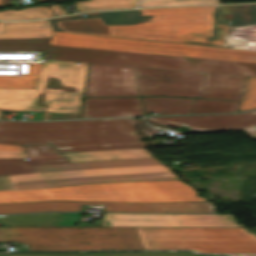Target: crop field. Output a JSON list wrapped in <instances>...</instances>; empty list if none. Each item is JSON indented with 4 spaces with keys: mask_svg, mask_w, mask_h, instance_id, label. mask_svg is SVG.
Returning <instances> with one entry per match:
<instances>
[{
    "mask_svg": "<svg viewBox=\"0 0 256 256\" xmlns=\"http://www.w3.org/2000/svg\"><path fill=\"white\" fill-rule=\"evenodd\" d=\"M45 59L206 72L200 98L235 100V102H228L194 99L191 114L236 112L245 88L246 76L256 77V63L102 49L49 45Z\"/></svg>",
    "mask_w": 256,
    "mask_h": 256,
    "instance_id": "8a807250",
    "label": "crop field"
},
{
    "mask_svg": "<svg viewBox=\"0 0 256 256\" xmlns=\"http://www.w3.org/2000/svg\"><path fill=\"white\" fill-rule=\"evenodd\" d=\"M134 118L21 122L0 120V143H50L61 153L148 147L133 127Z\"/></svg>",
    "mask_w": 256,
    "mask_h": 256,
    "instance_id": "ac0d7876",
    "label": "crop field"
},
{
    "mask_svg": "<svg viewBox=\"0 0 256 256\" xmlns=\"http://www.w3.org/2000/svg\"><path fill=\"white\" fill-rule=\"evenodd\" d=\"M217 6L102 12L112 36L210 45Z\"/></svg>",
    "mask_w": 256,
    "mask_h": 256,
    "instance_id": "34b2d1b8",
    "label": "crop field"
},
{
    "mask_svg": "<svg viewBox=\"0 0 256 256\" xmlns=\"http://www.w3.org/2000/svg\"><path fill=\"white\" fill-rule=\"evenodd\" d=\"M44 60L35 89L0 88V109L46 110L45 120L78 118L88 63Z\"/></svg>",
    "mask_w": 256,
    "mask_h": 256,
    "instance_id": "412701ff",
    "label": "crop field"
},
{
    "mask_svg": "<svg viewBox=\"0 0 256 256\" xmlns=\"http://www.w3.org/2000/svg\"><path fill=\"white\" fill-rule=\"evenodd\" d=\"M37 200L163 202L207 201L178 180L85 184L28 190L0 191L1 202Z\"/></svg>",
    "mask_w": 256,
    "mask_h": 256,
    "instance_id": "f4fd0767",
    "label": "crop field"
},
{
    "mask_svg": "<svg viewBox=\"0 0 256 256\" xmlns=\"http://www.w3.org/2000/svg\"><path fill=\"white\" fill-rule=\"evenodd\" d=\"M27 251L144 250L135 227H0V242Z\"/></svg>",
    "mask_w": 256,
    "mask_h": 256,
    "instance_id": "dd49c442",
    "label": "crop field"
},
{
    "mask_svg": "<svg viewBox=\"0 0 256 256\" xmlns=\"http://www.w3.org/2000/svg\"><path fill=\"white\" fill-rule=\"evenodd\" d=\"M145 249L256 253V236L243 228L136 227Z\"/></svg>",
    "mask_w": 256,
    "mask_h": 256,
    "instance_id": "e52e79f7",
    "label": "crop field"
},
{
    "mask_svg": "<svg viewBox=\"0 0 256 256\" xmlns=\"http://www.w3.org/2000/svg\"><path fill=\"white\" fill-rule=\"evenodd\" d=\"M49 44L241 62H249L248 59H256V51L253 50L229 49L197 45H193L192 48H186L182 47L180 43L173 42L102 37L58 31L53 32Z\"/></svg>",
    "mask_w": 256,
    "mask_h": 256,
    "instance_id": "d8731c3e",
    "label": "crop field"
},
{
    "mask_svg": "<svg viewBox=\"0 0 256 256\" xmlns=\"http://www.w3.org/2000/svg\"><path fill=\"white\" fill-rule=\"evenodd\" d=\"M134 68L141 96L166 95L141 98L146 115L190 114L193 99L168 96L199 98L205 73Z\"/></svg>",
    "mask_w": 256,
    "mask_h": 256,
    "instance_id": "5a996713",
    "label": "crop field"
},
{
    "mask_svg": "<svg viewBox=\"0 0 256 256\" xmlns=\"http://www.w3.org/2000/svg\"><path fill=\"white\" fill-rule=\"evenodd\" d=\"M35 173L7 176L12 188L127 180L108 161L33 166Z\"/></svg>",
    "mask_w": 256,
    "mask_h": 256,
    "instance_id": "3316defc",
    "label": "crop field"
},
{
    "mask_svg": "<svg viewBox=\"0 0 256 256\" xmlns=\"http://www.w3.org/2000/svg\"><path fill=\"white\" fill-rule=\"evenodd\" d=\"M104 203V212H215L211 202L120 203L79 201H38L1 203L0 214L44 211H81L82 204Z\"/></svg>",
    "mask_w": 256,
    "mask_h": 256,
    "instance_id": "28ad6ade",
    "label": "crop field"
},
{
    "mask_svg": "<svg viewBox=\"0 0 256 256\" xmlns=\"http://www.w3.org/2000/svg\"><path fill=\"white\" fill-rule=\"evenodd\" d=\"M76 226H211L244 227L236 225L232 214H102L95 224L77 223Z\"/></svg>",
    "mask_w": 256,
    "mask_h": 256,
    "instance_id": "d1516ede",
    "label": "crop field"
},
{
    "mask_svg": "<svg viewBox=\"0 0 256 256\" xmlns=\"http://www.w3.org/2000/svg\"><path fill=\"white\" fill-rule=\"evenodd\" d=\"M146 119L165 126H185L193 132L244 129L251 139H256V111L241 114L147 117Z\"/></svg>",
    "mask_w": 256,
    "mask_h": 256,
    "instance_id": "22f410ed",
    "label": "crop field"
},
{
    "mask_svg": "<svg viewBox=\"0 0 256 256\" xmlns=\"http://www.w3.org/2000/svg\"><path fill=\"white\" fill-rule=\"evenodd\" d=\"M140 96L133 67L91 64L85 97Z\"/></svg>",
    "mask_w": 256,
    "mask_h": 256,
    "instance_id": "cbeb9de0",
    "label": "crop field"
},
{
    "mask_svg": "<svg viewBox=\"0 0 256 256\" xmlns=\"http://www.w3.org/2000/svg\"><path fill=\"white\" fill-rule=\"evenodd\" d=\"M256 24V4L220 5L212 32L211 45L227 47L230 27Z\"/></svg>",
    "mask_w": 256,
    "mask_h": 256,
    "instance_id": "5142ce71",
    "label": "crop field"
},
{
    "mask_svg": "<svg viewBox=\"0 0 256 256\" xmlns=\"http://www.w3.org/2000/svg\"><path fill=\"white\" fill-rule=\"evenodd\" d=\"M29 160L0 159V176L34 172L31 165L70 162L50 144L23 146Z\"/></svg>",
    "mask_w": 256,
    "mask_h": 256,
    "instance_id": "d9b57169",
    "label": "crop field"
},
{
    "mask_svg": "<svg viewBox=\"0 0 256 256\" xmlns=\"http://www.w3.org/2000/svg\"><path fill=\"white\" fill-rule=\"evenodd\" d=\"M144 116L140 98H85L81 118Z\"/></svg>",
    "mask_w": 256,
    "mask_h": 256,
    "instance_id": "733c2abd",
    "label": "crop field"
},
{
    "mask_svg": "<svg viewBox=\"0 0 256 256\" xmlns=\"http://www.w3.org/2000/svg\"><path fill=\"white\" fill-rule=\"evenodd\" d=\"M128 180L176 178L167 166L155 158L109 161Z\"/></svg>",
    "mask_w": 256,
    "mask_h": 256,
    "instance_id": "4a817a6b",
    "label": "crop field"
},
{
    "mask_svg": "<svg viewBox=\"0 0 256 256\" xmlns=\"http://www.w3.org/2000/svg\"><path fill=\"white\" fill-rule=\"evenodd\" d=\"M53 30L107 36L109 29L100 12L49 20Z\"/></svg>",
    "mask_w": 256,
    "mask_h": 256,
    "instance_id": "bc2a9ffb",
    "label": "crop field"
},
{
    "mask_svg": "<svg viewBox=\"0 0 256 256\" xmlns=\"http://www.w3.org/2000/svg\"><path fill=\"white\" fill-rule=\"evenodd\" d=\"M53 30L48 20L33 22H0V38L50 37Z\"/></svg>",
    "mask_w": 256,
    "mask_h": 256,
    "instance_id": "214f88e0",
    "label": "crop field"
},
{
    "mask_svg": "<svg viewBox=\"0 0 256 256\" xmlns=\"http://www.w3.org/2000/svg\"><path fill=\"white\" fill-rule=\"evenodd\" d=\"M71 162L152 157L145 148L63 154Z\"/></svg>",
    "mask_w": 256,
    "mask_h": 256,
    "instance_id": "92a150f3",
    "label": "crop field"
},
{
    "mask_svg": "<svg viewBox=\"0 0 256 256\" xmlns=\"http://www.w3.org/2000/svg\"><path fill=\"white\" fill-rule=\"evenodd\" d=\"M60 213L0 216L7 226H56Z\"/></svg>",
    "mask_w": 256,
    "mask_h": 256,
    "instance_id": "dafd665d",
    "label": "crop field"
},
{
    "mask_svg": "<svg viewBox=\"0 0 256 256\" xmlns=\"http://www.w3.org/2000/svg\"><path fill=\"white\" fill-rule=\"evenodd\" d=\"M0 256H217L200 255L193 252H117L116 255H94L84 253H18L4 254Z\"/></svg>",
    "mask_w": 256,
    "mask_h": 256,
    "instance_id": "00972430",
    "label": "crop field"
},
{
    "mask_svg": "<svg viewBox=\"0 0 256 256\" xmlns=\"http://www.w3.org/2000/svg\"><path fill=\"white\" fill-rule=\"evenodd\" d=\"M42 63H28L27 74L21 76L0 75V87L34 88Z\"/></svg>",
    "mask_w": 256,
    "mask_h": 256,
    "instance_id": "a9b5d70f",
    "label": "crop field"
},
{
    "mask_svg": "<svg viewBox=\"0 0 256 256\" xmlns=\"http://www.w3.org/2000/svg\"><path fill=\"white\" fill-rule=\"evenodd\" d=\"M50 38L0 39V51H47Z\"/></svg>",
    "mask_w": 256,
    "mask_h": 256,
    "instance_id": "4177f3b9",
    "label": "crop field"
},
{
    "mask_svg": "<svg viewBox=\"0 0 256 256\" xmlns=\"http://www.w3.org/2000/svg\"><path fill=\"white\" fill-rule=\"evenodd\" d=\"M78 11L136 7L137 0H87L74 2Z\"/></svg>",
    "mask_w": 256,
    "mask_h": 256,
    "instance_id": "730fd06b",
    "label": "crop field"
},
{
    "mask_svg": "<svg viewBox=\"0 0 256 256\" xmlns=\"http://www.w3.org/2000/svg\"><path fill=\"white\" fill-rule=\"evenodd\" d=\"M47 52H0V62H43Z\"/></svg>",
    "mask_w": 256,
    "mask_h": 256,
    "instance_id": "eef30255",
    "label": "crop field"
},
{
    "mask_svg": "<svg viewBox=\"0 0 256 256\" xmlns=\"http://www.w3.org/2000/svg\"><path fill=\"white\" fill-rule=\"evenodd\" d=\"M44 17L37 7H29L22 10H5L0 12V19L20 20Z\"/></svg>",
    "mask_w": 256,
    "mask_h": 256,
    "instance_id": "ae1a2a85",
    "label": "crop field"
},
{
    "mask_svg": "<svg viewBox=\"0 0 256 256\" xmlns=\"http://www.w3.org/2000/svg\"><path fill=\"white\" fill-rule=\"evenodd\" d=\"M213 3H219V0H141L140 7L195 5V4H213Z\"/></svg>",
    "mask_w": 256,
    "mask_h": 256,
    "instance_id": "d3111659",
    "label": "crop field"
},
{
    "mask_svg": "<svg viewBox=\"0 0 256 256\" xmlns=\"http://www.w3.org/2000/svg\"><path fill=\"white\" fill-rule=\"evenodd\" d=\"M256 108V78L248 77L247 87L239 111Z\"/></svg>",
    "mask_w": 256,
    "mask_h": 256,
    "instance_id": "750c4746",
    "label": "crop field"
},
{
    "mask_svg": "<svg viewBox=\"0 0 256 256\" xmlns=\"http://www.w3.org/2000/svg\"><path fill=\"white\" fill-rule=\"evenodd\" d=\"M82 213H61L57 226H74Z\"/></svg>",
    "mask_w": 256,
    "mask_h": 256,
    "instance_id": "bd1437ed",
    "label": "crop field"
},
{
    "mask_svg": "<svg viewBox=\"0 0 256 256\" xmlns=\"http://www.w3.org/2000/svg\"><path fill=\"white\" fill-rule=\"evenodd\" d=\"M2 157H27L24 151H0Z\"/></svg>",
    "mask_w": 256,
    "mask_h": 256,
    "instance_id": "1d83c4d3",
    "label": "crop field"
},
{
    "mask_svg": "<svg viewBox=\"0 0 256 256\" xmlns=\"http://www.w3.org/2000/svg\"><path fill=\"white\" fill-rule=\"evenodd\" d=\"M51 8L53 9V11L56 14V16L67 14V12L63 8V6H61L59 4L51 5Z\"/></svg>",
    "mask_w": 256,
    "mask_h": 256,
    "instance_id": "120bbe31",
    "label": "crop field"
},
{
    "mask_svg": "<svg viewBox=\"0 0 256 256\" xmlns=\"http://www.w3.org/2000/svg\"><path fill=\"white\" fill-rule=\"evenodd\" d=\"M0 150H23L22 146L0 144Z\"/></svg>",
    "mask_w": 256,
    "mask_h": 256,
    "instance_id": "d32e631a",
    "label": "crop field"
},
{
    "mask_svg": "<svg viewBox=\"0 0 256 256\" xmlns=\"http://www.w3.org/2000/svg\"><path fill=\"white\" fill-rule=\"evenodd\" d=\"M0 188H11L6 176L0 177Z\"/></svg>",
    "mask_w": 256,
    "mask_h": 256,
    "instance_id": "5866460e",
    "label": "crop field"
},
{
    "mask_svg": "<svg viewBox=\"0 0 256 256\" xmlns=\"http://www.w3.org/2000/svg\"><path fill=\"white\" fill-rule=\"evenodd\" d=\"M38 8L44 14L45 17L54 16L50 8H47V7H38Z\"/></svg>",
    "mask_w": 256,
    "mask_h": 256,
    "instance_id": "028f5c9d",
    "label": "crop field"
},
{
    "mask_svg": "<svg viewBox=\"0 0 256 256\" xmlns=\"http://www.w3.org/2000/svg\"><path fill=\"white\" fill-rule=\"evenodd\" d=\"M10 4H11L10 0H3L2 7L6 6V5H10Z\"/></svg>",
    "mask_w": 256,
    "mask_h": 256,
    "instance_id": "e1f06a70",
    "label": "crop field"
},
{
    "mask_svg": "<svg viewBox=\"0 0 256 256\" xmlns=\"http://www.w3.org/2000/svg\"><path fill=\"white\" fill-rule=\"evenodd\" d=\"M182 46L192 47V45H190V44H182Z\"/></svg>",
    "mask_w": 256,
    "mask_h": 256,
    "instance_id": "0bd39190",
    "label": "crop field"
},
{
    "mask_svg": "<svg viewBox=\"0 0 256 256\" xmlns=\"http://www.w3.org/2000/svg\"><path fill=\"white\" fill-rule=\"evenodd\" d=\"M95 254H115V253H95Z\"/></svg>",
    "mask_w": 256,
    "mask_h": 256,
    "instance_id": "b80d0937",
    "label": "crop field"
},
{
    "mask_svg": "<svg viewBox=\"0 0 256 256\" xmlns=\"http://www.w3.org/2000/svg\"><path fill=\"white\" fill-rule=\"evenodd\" d=\"M250 62H256L255 60H249Z\"/></svg>",
    "mask_w": 256,
    "mask_h": 256,
    "instance_id": "c035e120",
    "label": "crop field"
},
{
    "mask_svg": "<svg viewBox=\"0 0 256 256\" xmlns=\"http://www.w3.org/2000/svg\"><path fill=\"white\" fill-rule=\"evenodd\" d=\"M1 113H2V111L0 110V117H1Z\"/></svg>",
    "mask_w": 256,
    "mask_h": 256,
    "instance_id": "c21b1889",
    "label": "crop field"
},
{
    "mask_svg": "<svg viewBox=\"0 0 256 256\" xmlns=\"http://www.w3.org/2000/svg\"><path fill=\"white\" fill-rule=\"evenodd\" d=\"M1 2H2V0H0V6H1Z\"/></svg>",
    "mask_w": 256,
    "mask_h": 256,
    "instance_id": "03da06ac",
    "label": "crop field"
},
{
    "mask_svg": "<svg viewBox=\"0 0 256 256\" xmlns=\"http://www.w3.org/2000/svg\"><path fill=\"white\" fill-rule=\"evenodd\" d=\"M38 1H45V0H38Z\"/></svg>",
    "mask_w": 256,
    "mask_h": 256,
    "instance_id": "b54c1fbb",
    "label": "crop field"
}]
</instances>
